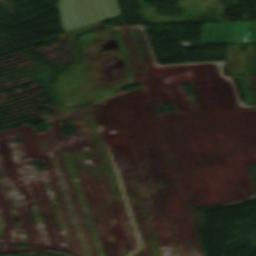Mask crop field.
I'll list each match as a JSON object with an SVG mask.
<instances>
[{
  "instance_id": "crop-field-1",
  "label": "crop field",
  "mask_w": 256,
  "mask_h": 256,
  "mask_svg": "<svg viewBox=\"0 0 256 256\" xmlns=\"http://www.w3.org/2000/svg\"><path fill=\"white\" fill-rule=\"evenodd\" d=\"M58 8L66 31L121 14L116 0H59Z\"/></svg>"
},
{
  "instance_id": "crop-field-2",
  "label": "crop field",
  "mask_w": 256,
  "mask_h": 256,
  "mask_svg": "<svg viewBox=\"0 0 256 256\" xmlns=\"http://www.w3.org/2000/svg\"><path fill=\"white\" fill-rule=\"evenodd\" d=\"M256 42V23H204L202 43Z\"/></svg>"
},
{
  "instance_id": "crop-field-3",
  "label": "crop field",
  "mask_w": 256,
  "mask_h": 256,
  "mask_svg": "<svg viewBox=\"0 0 256 256\" xmlns=\"http://www.w3.org/2000/svg\"><path fill=\"white\" fill-rule=\"evenodd\" d=\"M253 78V81H254V84H255V87H256V75L252 76Z\"/></svg>"
}]
</instances>
